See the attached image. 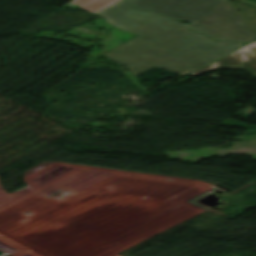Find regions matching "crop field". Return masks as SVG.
I'll return each mask as SVG.
<instances>
[{"mask_svg":"<svg viewBox=\"0 0 256 256\" xmlns=\"http://www.w3.org/2000/svg\"><path fill=\"white\" fill-rule=\"evenodd\" d=\"M117 1L119 0H74L72 2L95 13Z\"/></svg>","mask_w":256,"mask_h":256,"instance_id":"crop-field-5","label":"crop field"},{"mask_svg":"<svg viewBox=\"0 0 256 256\" xmlns=\"http://www.w3.org/2000/svg\"><path fill=\"white\" fill-rule=\"evenodd\" d=\"M149 11L194 22L216 0H126Z\"/></svg>","mask_w":256,"mask_h":256,"instance_id":"crop-field-3","label":"crop field"},{"mask_svg":"<svg viewBox=\"0 0 256 256\" xmlns=\"http://www.w3.org/2000/svg\"><path fill=\"white\" fill-rule=\"evenodd\" d=\"M215 68L245 69L256 76V42L252 43L192 74L198 76Z\"/></svg>","mask_w":256,"mask_h":256,"instance_id":"crop-field-4","label":"crop field"},{"mask_svg":"<svg viewBox=\"0 0 256 256\" xmlns=\"http://www.w3.org/2000/svg\"><path fill=\"white\" fill-rule=\"evenodd\" d=\"M95 14L139 35L105 54L134 76L155 66L185 76L244 45L217 42L183 27L187 24L139 10L122 0Z\"/></svg>","mask_w":256,"mask_h":256,"instance_id":"crop-field-1","label":"crop field"},{"mask_svg":"<svg viewBox=\"0 0 256 256\" xmlns=\"http://www.w3.org/2000/svg\"><path fill=\"white\" fill-rule=\"evenodd\" d=\"M218 41L251 42L256 32L228 0H217L193 24L186 26Z\"/></svg>","mask_w":256,"mask_h":256,"instance_id":"crop-field-2","label":"crop field"}]
</instances>
